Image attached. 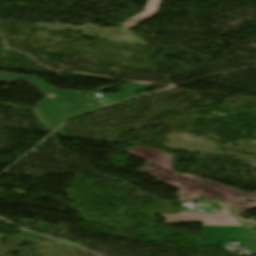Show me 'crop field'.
Returning <instances> with one entry per match:
<instances>
[{"label":"crop field","mask_w":256,"mask_h":256,"mask_svg":"<svg viewBox=\"0 0 256 256\" xmlns=\"http://www.w3.org/2000/svg\"><path fill=\"white\" fill-rule=\"evenodd\" d=\"M125 151L149 162L138 171L164 184L181 189L177 195L179 200H195L200 197L218 199L232 205L237 215L256 206V203L247 202L248 199L256 202V192L248 195L212 180L172 171L173 156L169 154L138 147Z\"/></svg>","instance_id":"obj_1"},{"label":"crop field","mask_w":256,"mask_h":256,"mask_svg":"<svg viewBox=\"0 0 256 256\" xmlns=\"http://www.w3.org/2000/svg\"><path fill=\"white\" fill-rule=\"evenodd\" d=\"M15 80L28 81L45 95L43 101L37 104L35 110L43 122L51 128L61 125L66 119L78 113L103 106L95 99L83 101L77 92L54 89L34 77L0 73V82H13ZM49 93H54L56 98H50L48 96ZM89 102L92 103L91 106L87 104Z\"/></svg>","instance_id":"obj_2"},{"label":"crop field","mask_w":256,"mask_h":256,"mask_svg":"<svg viewBox=\"0 0 256 256\" xmlns=\"http://www.w3.org/2000/svg\"><path fill=\"white\" fill-rule=\"evenodd\" d=\"M205 246H216L228 240L256 253V234L245 227L203 226Z\"/></svg>","instance_id":"obj_3"},{"label":"crop field","mask_w":256,"mask_h":256,"mask_svg":"<svg viewBox=\"0 0 256 256\" xmlns=\"http://www.w3.org/2000/svg\"><path fill=\"white\" fill-rule=\"evenodd\" d=\"M223 210L214 214H200L198 211L180 212L176 215L161 214V218H166L167 225L203 222V225H224L243 226L233 217L227 206L217 204Z\"/></svg>","instance_id":"obj_4"},{"label":"crop field","mask_w":256,"mask_h":256,"mask_svg":"<svg viewBox=\"0 0 256 256\" xmlns=\"http://www.w3.org/2000/svg\"><path fill=\"white\" fill-rule=\"evenodd\" d=\"M160 2H161V0H148L146 7H145V9H146L145 12L129 19L128 21L123 23L122 26L124 28H129V27L134 26V25L144 21L145 19L155 15Z\"/></svg>","instance_id":"obj_5"},{"label":"crop field","mask_w":256,"mask_h":256,"mask_svg":"<svg viewBox=\"0 0 256 256\" xmlns=\"http://www.w3.org/2000/svg\"><path fill=\"white\" fill-rule=\"evenodd\" d=\"M148 87H150V85L132 84L130 86L120 88V90L122 92L112 95V96H108L109 100L103 101V103L105 105H108V104H111V103H114V102H117L120 100L136 97V95H134L133 93L138 92L143 89H146Z\"/></svg>","instance_id":"obj_6"},{"label":"crop field","mask_w":256,"mask_h":256,"mask_svg":"<svg viewBox=\"0 0 256 256\" xmlns=\"http://www.w3.org/2000/svg\"><path fill=\"white\" fill-rule=\"evenodd\" d=\"M247 228L256 232V227H247Z\"/></svg>","instance_id":"obj_7"}]
</instances>
